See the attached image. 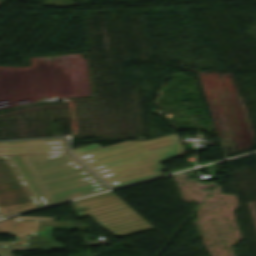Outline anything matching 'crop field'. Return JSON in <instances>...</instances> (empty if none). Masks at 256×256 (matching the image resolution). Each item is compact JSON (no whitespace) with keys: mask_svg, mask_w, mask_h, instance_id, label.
<instances>
[{"mask_svg":"<svg viewBox=\"0 0 256 256\" xmlns=\"http://www.w3.org/2000/svg\"><path fill=\"white\" fill-rule=\"evenodd\" d=\"M52 229H79L76 222L41 221L37 235H29L30 249H61L62 245L51 240Z\"/></svg>","mask_w":256,"mask_h":256,"instance_id":"e52e79f7","label":"crop field"},{"mask_svg":"<svg viewBox=\"0 0 256 256\" xmlns=\"http://www.w3.org/2000/svg\"><path fill=\"white\" fill-rule=\"evenodd\" d=\"M38 208L7 156H0V217Z\"/></svg>","mask_w":256,"mask_h":256,"instance_id":"412701ff","label":"crop field"},{"mask_svg":"<svg viewBox=\"0 0 256 256\" xmlns=\"http://www.w3.org/2000/svg\"><path fill=\"white\" fill-rule=\"evenodd\" d=\"M8 158L39 207L107 190L67 153Z\"/></svg>","mask_w":256,"mask_h":256,"instance_id":"ac0d7876","label":"crop field"},{"mask_svg":"<svg viewBox=\"0 0 256 256\" xmlns=\"http://www.w3.org/2000/svg\"><path fill=\"white\" fill-rule=\"evenodd\" d=\"M73 202L79 218L90 216L117 237L153 228L111 191Z\"/></svg>","mask_w":256,"mask_h":256,"instance_id":"34b2d1b8","label":"crop field"},{"mask_svg":"<svg viewBox=\"0 0 256 256\" xmlns=\"http://www.w3.org/2000/svg\"><path fill=\"white\" fill-rule=\"evenodd\" d=\"M40 220H54L48 217L16 216L0 221V234L15 237L13 242H0V245H27L28 234H36Z\"/></svg>","mask_w":256,"mask_h":256,"instance_id":"f4fd0767","label":"crop field"},{"mask_svg":"<svg viewBox=\"0 0 256 256\" xmlns=\"http://www.w3.org/2000/svg\"><path fill=\"white\" fill-rule=\"evenodd\" d=\"M112 187L157 175L164 168L158 161L184 154L176 134L149 141H125L108 147L98 144L72 149Z\"/></svg>","mask_w":256,"mask_h":256,"instance_id":"8a807250","label":"crop field"},{"mask_svg":"<svg viewBox=\"0 0 256 256\" xmlns=\"http://www.w3.org/2000/svg\"><path fill=\"white\" fill-rule=\"evenodd\" d=\"M64 138L1 142L0 155L66 151Z\"/></svg>","mask_w":256,"mask_h":256,"instance_id":"dd49c442","label":"crop field"},{"mask_svg":"<svg viewBox=\"0 0 256 256\" xmlns=\"http://www.w3.org/2000/svg\"><path fill=\"white\" fill-rule=\"evenodd\" d=\"M29 251L28 246H0V256H11V252Z\"/></svg>","mask_w":256,"mask_h":256,"instance_id":"d8731c3e","label":"crop field"}]
</instances>
